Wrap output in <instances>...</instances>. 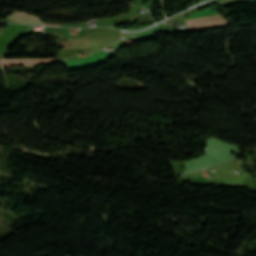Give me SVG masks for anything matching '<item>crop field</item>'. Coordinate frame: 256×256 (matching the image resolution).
Returning a JSON list of instances; mask_svg holds the SVG:
<instances>
[{"label":"crop field","mask_w":256,"mask_h":256,"mask_svg":"<svg viewBox=\"0 0 256 256\" xmlns=\"http://www.w3.org/2000/svg\"><path fill=\"white\" fill-rule=\"evenodd\" d=\"M216 14H218V12L216 10H214L213 8H207V9L200 10V11H197V12L189 15L188 17L185 18V20L200 18V17H205V16H211V15H216ZM186 22H187L188 29L229 23L228 21L223 19L220 15L205 17V18H200V19H194V20H188Z\"/></svg>","instance_id":"8a807250"},{"label":"crop field","mask_w":256,"mask_h":256,"mask_svg":"<svg viewBox=\"0 0 256 256\" xmlns=\"http://www.w3.org/2000/svg\"><path fill=\"white\" fill-rule=\"evenodd\" d=\"M54 60H55V57L54 58H50V59L2 60L1 61V65L17 66V65L40 64V63H53Z\"/></svg>","instance_id":"ac0d7876"},{"label":"crop field","mask_w":256,"mask_h":256,"mask_svg":"<svg viewBox=\"0 0 256 256\" xmlns=\"http://www.w3.org/2000/svg\"><path fill=\"white\" fill-rule=\"evenodd\" d=\"M15 15L19 16V17H22L26 20H29V21H32V22H36V23H39V24H43L42 22L39 21V19L31 16V15H27V14H24V13H21V12H14ZM15 15H11L9 18L11 19H14L16 21H19L21 23H31V24H36V23H32V22H29V21H26L22 18H19ZM45 25V24H44ZM46 25H52V24H46ZM53 26H60V25H53Z\"/></svg>","instance_id":"34b2d1b8"}]
</instances>
